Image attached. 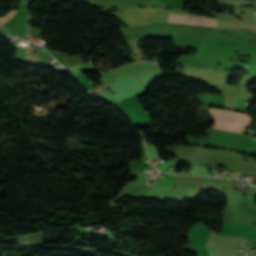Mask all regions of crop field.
<instances>
[{
	"label": "crop field",
	"instance_id": "obj_1",
	"mask_svg": "<svg viewBox=\"0 0 256 256\" xmlns=\"http://www.w3.org/2000/svg\"><path fill=\"white\" fill-rule=\"evenodd\" d=\"M168 22L215 27L216 19L169 14Z\"/></svg>",
	"mask_w": 256,
	"mask_h": 256
},
{
	"label": "crop field",
	"instance_id": "obj_2",
	"mask_svg": "<svg viewBox=\"0 0 256 256\" xmlns=\"http://www.w3.org/2000/svg\"><path fill=\"white\" fill-rule=\"evenodd\" d=\"M16 10H17V9H15V10L9 12V13L6 14L4 17L0 18L1 23L3 24L4 22L10 20V19L13 17V15L16 13ZM1 23H0V24H1ZM2 24H1V25H2Z\"/></svg>",
	"mask_w": 256,
	"mask_h": 256
},
{
	"label": "crop field",
	"instance_id": "obj_4",
	"mask_svg": "<svg viewBox=\"0 0 256 256\" xmlns=\"http://www.w3.org/2000/svg\"><path fill=\"white\" fill-rule=\"evenodd\" d=\"M13 36H15V35H13ZM16 37V36H15Z\"/></svg>",
	"mask_w": 256,
	"mask_h": 256
},
{
	"label": "crop field",
	"instance_id": "obj_3",
	"mask_svg": "<svg viewBox=\"0 0 256 256\" xmlns=\"http://www.w3.org/2000/svg\"><path fill=\"white\" fill-rule=\"evenodd\" d=\"M253 14H256V11H253ZM252 20H253V21H256V18H253Z\"/></svg>",
	"mask_w": 256,
	"mask_h": 256
}]
</instances>
